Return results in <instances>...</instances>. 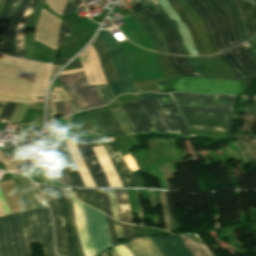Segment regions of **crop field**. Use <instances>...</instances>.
I'll use <instances>...</instances> for the list:
<instances>
[{"label": "crop field", "mask_w": 256, "mask_h": 256, "mask_svg": "<svg viewBox=\"0 0 256 256\" xmlns=\"http://www.w3.org/2000/svg\"><path fill=\"white\" fill-rule=\"evenodd\" d=\"M33 243H41L44 256H56L47 207L0 217V256H32Z\"/></svg>", "instance_id": "crop-field-1"}, {"label": "crop field", "mask_w": 256, "mask_h": 256, "mask_svg": "<svg viewBox=\"0 0 256 256\" xmlns=\"http://www.w3.org/2000/svg\"><path fill=\"white\" fill-rule=\"evenodd\" d=\"M141 98L164 97L157 93L139 94ZM138 132H177L190 136L180 111L171 97L140 99L123 105Z\"/></svg>", "instance_id": "crop-field-2"}, {"label": "crop field", "mask_w": 256, "mask_h": 256, "mask_svg": "<svg viewBox=\"0 0 256 256\" xmlns=\"http://www.w3.org/2000/svg\"><path fill=\"white\" fill-rule=\"evenodd\" d=\"M38 188L44 194L52 213L57 252L63 256H69V254L70 256H84L76 232L74 212L68 191L47 185H38Z\"/></svg>", "instance_id": "crop-field-3"}, {"label": "crop field", "mask_w": 256, "mask_h": 256, "mask_svg": "<svg viewBox=\"0 0 256 256\" xmlns=\"http://www.w3.org/2000/svg\"><path fill=\"white\" fill-rule=\"evenodd\" d=\"M206 25L216 53L240 44L231 12L220 0H186Z\"/></svg>", "instance_id": "crop-field-4"}, {"label": "crop field", "mask_w": 256, "mask_h": 256, "mask_svg": "<svg viewBox=\"0 0 256 256\" xmlns=\"http://www.w3.org/2000/svg\"><path fill=\"white\" fill-rule=\"evenodd\" d=\"M161 93L175 91L199 94H248L250 81L206 80L197 77H172L154 80Z\"/></svg>", "instance_id": "crop-field-5"}, {"label": "crop field", "mask_w": 256, "mask_h": 256, "mask_svg": "<svg viewBox=\"0 0 256 256\" xmlns=\"http://www.w3.org/2000/svg\"><path fill=\"white\" fill-rule=\"evenodd\" d=\"M181 112L191 113H227V140L232 132V105L235 97L209 96L196 94H171Z\"/></svg>", "instance_id": "crop-field-6"}, {"label": "crop field", "mask_w": 256, "mask_h": 256, "mask_svg": "<svg viewBox=\"0 0 256 256\" xmlns=\"http://www.w3.org/2000/svg\"><path fill=\"white\" fill-rule=\"evenodd\" d=\"M66 94L71 99L73 111H83L105 105L94 86H88L83 71L57 77Z\"/></svg>", "instance_id": "crop-field-7"}, {"label": "crop field", "mask_w": 256, "mask_h": 256, "mask_svg": "<svg viewBox=\"0 0 256 256\" xmlns=\"http://www.w3.org/2000/svg\"><path fill=\"white\" fill-rule=\"evenodd\" d=\"M83 205L89 239L97 255L113 246L109 237L105 215L85 204Z\"/></svg>", "instance_id": "crop-field-8"}, {"label": "crop field", "mask_w": 256, "mask_h": 256, "mask_svg": "<svg viewBox=\"0 0 256 256\" xmlns=\"http://www.w3.org/2000/svg\"><path fill=\"white\" fill-rule=\"evenodd\" d=\"M218 55L232 68L238 80L256 78V59L243 44Z\"/></svg>", "instance_id": "crop-field-9"}, {"label": "crop field", "mask_w": 256, "mask_h": 256, "mask_svg": "<svg viewBox=\"0 0 256 256\" xmlns=\"http://www.w3.org/2000/svg\"><path fill=\"white\" fill-rule=\"evenodd\" d=\"M99 36L106 44L114 64L115 71L126 93H138L128 72L122 48L109 31H100Z\"/></svg>", "instance_id": "crop-field-10"}, {"label": "crop field", "mask_w": 256, "mask_h": 256, "mask_svg": "<svg viewBox=\"0 0 256 256\" xmlns=\"http://www.w3.org/2000/svg\"><path fill=\"white\" fill-rule=\"evenodd\" d=\"M139 5L143 9H152L155 14L158 9L157 6L150 0H141L139 1ZM152 10L145 11L153 19V21L156 23L158 28L163 33L169 54L184 55L178 43L176 33L171 24L164 18L165 16L163 17L159 9L157 11L156 16L152 12Z\"/></svg>", "instance_id": "crop-field-11"}, {"label": "crop field", "mask_w": 256, "mask_h": 256, "mask_svg": "<svg viewBox=\"0 0 256 256\" xmlns=\"http://www.w3.org/2000/svg\"><path fill=\"white\" fill-rule=\"evenodd\" d=\"M189 129L226 132V114L183 113Z\"/></svg>", "instance_id": "crop-field-12"}, {"label": "crop field", "mask_w": 256, "mask_h": 256, "mask_svg": "<svg viewBox=\"0 0 256 256\" xmlns=\"http://www.w3.org/2000/svg\"><path fill=\"white\" fill-rule=\"evenodd\" d=\"M48 152L30 156L35 162L43 167L47 172L65 184L71 185L68 176L56 154L54 145H46Z\"/></svg>", "instance_id": "crop-field-13"}, {"label": "crop field", "mask_w": 256, "mask_h": 256, "mask_svg": "<svg viewBox=\"0 0 256 256\" xmlns=\"http://www.w3.org/2000/svg\"><path fill=\"white\" fill-rule=\"evenodd\" d=\"M123 187H136L126 162L113 138H101Z\"/></svg>", "instance_id": "crop-field-14"}, {"label": "crop field", "mask_w": 256, "mask_h": 256, "mask_svg": "<svg viewBox=\"0 0 256 256\" xmlns=\"http://www.w3.org/2000/svg\"><path fill=\"white\" fill-rule=\"evenodd\" d=\"M97 187H110L87 138L75 139Z\"/></svg>", "instance_id": "crop-field-15"}, {"label": "crop field", "mask_w": 256, "mask_h": 256, "mask_svg": "<svg viewBox=\"0 0 256 256\" xmlns=\"http://www.w3.org/2000/svg\"><path fill=\"white\" fill-rule=\"evenodd\" d=\"M165 256H192L180 236H150Z\"/></svg>", "instance_id": "crop-field-16"}, {"label": "crop field", "mask_w": 256, "mask_h": 256, "mask_svg": "<svg viewBox=\"0 0 256 256\" xmlns=\"http://www.w3.org/2000/svg\"><path fill=\"white\" fill-rule=\"evenodd\" d=\"M20 2L21 0H6L0 12V53L6 54L8 29Z\"/></svg>", "instance_id": "crop-field-17"}, {"label": "crop field", "mask_w": 256, "mask_h": 256, "mask_svg": "<svg viewBox=\"0 0 256 256\" xmlns=\"http://www.w3.org/2000/svg\"><path fill=\"white\" fill-rule=\"evenodd\" d=\"M134 16L152 40L155 51L168 54L164 37L150 17L143 10Z\"/></svg>", "instance_id": "crop-field-18"}, {"label": "crop field", "mask_w": 256, "mask_h": 256, "mask_svg": "<svg viewBox=\"0 0 256 256\" xmlns=\"http://www.w3.org/2000/svg\"><path fill=\"white\" fill-rule=\"evenodd\" d=\"M69 193L71 195L73 206H74L77 232H78V235L80 238V242H81L84 254H85V256H94V253L92 251V246L90 244V241L88 239L87 232H86L83 205L80 201H78L74 197L71 190H69Z\"/></svg>", "instance_id": "crop-field-19"}, {"label": "crop field", "mask_w": 256, "mask_h": 256, "mask_svg": "<svg viewBox=\"0 0 256 256\" xmlns=\"http://www.w3.org/2000/svg\"><path fill=\"white\" fill-rule=\"evenodd\" d=\"M124 245L133 256H164L148 236L135 237Z\"/></svg>", "instance_id": "crop-field-20"}, {"label": "crop field", "mask_w": 256, "mask_h": 256, "mask_svg": "<svg viewBox=\"0 0 256 256\" xmlns=\"http://www.w3.org/2000/svg\"><path fill=\"white\" fill-rule=\"evenodd\" d=\"M91 44L93 45V47L98 55V58H99V61L101 64V68H102V71H103V74L105 76L107 83L110 84V83L119 82V80L115 74L108 50H107L106 46L104 45L103 41L99 37L96 36V38L94 39V41Z\"/></svg>", "instance_id": "crop-field-21"}, {"label": "crop field", "mask_w": 256, "mask_h": 256, "mask_svg": "<svg viewBox=\"0 0 256 256\" xmlns=\"http://www.w3.org/2000/svg\"><path fill=\"white\" fill-rule=\"evenodd\" d=\"M56 151L62 161V164L71 180L73 186L84 187L81 177L72 161V158L67 150L65 142L54 144Z\"/></svg>", "instance_id": "crop-field-22"}, {"label": "crop field", "mask_w": 256, "mask_h": 256, "mask_svg": "<svg viewBox=\"0 0 256 256\" xmlns=\"http://www.w3.org/2000/svg\"><path fill=\"white\" fill-rule=\"evenodd\" d=\"M12 174V173H11ZM17 191L25 205L26 210L39 208V204L27 178L12 174Z\"/></svg>", "instance_id": "crop-field-23"}, {"label": "crop field", "mask_w": 256, "mask_h": 256, "mask_svg": "<svg viewBox=\"0 0 256 256\" xmlns=\"http://www.w3.org/2000/svg\"><path fill=\"white\" fill-rule=\"evenodd\" d=\"M72 107L66 94H49L48 118L61 114H72Z\"/></svg>", "instance_id": "crop-field-24"}, {"label": "crop field", "mask_w": 256, "mask_h": 256, "mask_svg": "<svg viewBox=\"0 0 256 256\" xmlns=\"http://www.w3.org/2000/svg\"><path fill=\"white\" fill-rule=\"evenodd\" d=\"M170 5L173 7V9L178 13V15L183 19V21L186 23L193 39L194 46L198 52L199 55H207L202 42L200 40L199 34L197 32L196 26L193 24L192 20L189 18V16L186 14V12L183 10V8L180 6V4L177 2V0H167Z\"/></svg>", "instance_id": "crop-field-25"}, {"label": "crop field", "mask_w": 256, "mask_h": 256, "mask_svg": "<svg viewBox=\"0 0 256 256\" xmlns=\"http://www.w3.org/2000/svg\"><path fill=\"white\" fill-rule=\"evenodd\" d=\"M178 2L181 4V6L184 8V10L187 12V14L191 17V19L196 24L207 53L209 55L216 54L211 45L210 38L208 36L207 30L201 18L197 15V13L190 7V5L185 0H178Z\"/></svg>", "instance_id": "crop-field-26"}, {"label": "crop field", "mask_w": 256, "mask_h": 256, "mask_svg": "<svg viewBox=\"0 0 256 256\" xmlns=\"http://www.w3.org/2000/svg\"><path fill=\"white\" fill-rule=\"evenodd\" d=\"M93 150L109 180L110 186L122 187L103 146L101 145V146L93 147Z\"/></svg>", "instance_id": "crop-field-27"}, {"label": "crop field", "mask_w": 256, "mask_h": 256, "mask_svg": "<svg viewBox=\"0 0 256 256\" xmlns=\"http://www.w3.org/2000/svg\"><path fill=\"white\" fill-rule=\"evenodd\" d=\"M37 0H31L29 4L26 7V11L23 15V17L20 20L19 26L16 31V51H17V56L18 57H23L25 58V51H24V30H25V25L29 21V18L33 12V9L35 7Z\"/></svg>", "instance_id": "crop-field-28"}, {"label": "crop field", "mask_w": 256, "mask_h": 256, "mask_svg": "<svg viewBox=\"0 0 256 256\" xmlns=\"http://www.w3.org/2000/svg\"><path fill=\"white\" fill-rule=\"evenodd\" d=\"M233 1L238 5L243 14L247 27L248 37L250 39L256 32V12L250 2L244 0Z\"/></svg>", "instance_id": "crop-field-29"}, {"label": "crop field", "mask_w": 256, "mask_h": 256, "mask_svg": "<svg viewBox=\"0 0 256 256\" xmlns=\"http://www.w3.org/2000/svg\"><path fill=\"white\" fill-rule=\"evenodd\" d=\"M68 141H69V143H70V145H71V147H72V149H73V151H74V154H75V156H76V158H77V160H78V162H79V165H80V167H81V169H82V171H83V173H84V175H85V178H86V180H87L89 186H90V187H96L95 184H94V182H93V180H92V178H91V176H90V173H89V171H88V169H87V167H86V165H85V163H84V161H83V159H82V157H81V154H80V152H79V150H78V148H77V146H76L74 140L71 139V140H68ZM68 141L66 140L65 142H66L67 147H68V149H69V151H70V153H71V156H72V158H73V161H74V163H75V165H76V167H77V169H78V171H79V173H80V175H81V177H82V180H83L85 186H86V187H89L88 184H87V182H86V180H85V178H84V176H83V173H82V171H81V169H80V167H79V165H78V162H77V160H76V158H75V156H74V154H73V152H72V149H71V147H70Z\"/></svg>", "instance_id": "crop-field-30"}, {"label": "crop field", "mask_w": 256, "mask_h": 256, "mask_svg": "<svg viewBox=\"0 0 256 256\" xmlns=\"http://www.w3.org/2000/svg\"><path fill=\"white\" fill-rule=\"evenodd\" d=\"M222 3L233 13L235 22H236V28H237V34L241 41V43L249 40L246 33L245 24L243 21L242 14L237 7V5L232 0H221Z\"/></svg>", "instance_id": "crop-field-31"}, {"label": "crop field", "mask_w": 256, "mask_h": 256, "mask_svg": "<svg viewBox=\"0 0 256 256\" xmlns=\"http://www.w3.org/2000/svg\"><path fill=\"white\" fill-rule=\"evenodd\" d=\"M114 191L116 194V199H117L118 208H119L120 222L132 224L126 190H114Z\"/></svg>", "instance_id": "crop-field-32"}, {"label": "crop field", "mask_w": 256, "mask_h": 256, "mask_svg": "<svg viewBox=\"0 0 256 256\" xmlns=\"http://www.w3.org/2000/svg\"><path fill=\"white\" fill-rule=\"evenodd\" d=\"M111 112L113 113V115L119 122L120 126L124 130L125 135H138L135 127L130 121L128 115L124 112L122 106L111 110Z\"/></svg>", "instance_id": "crop-field-33"}, {"label": "crop field", "mask_w": 256, "mask_h": 256, "mask_svg": "<svg viewBox=\"0 0 256 256\" xmlns=\"http://www.w3.org/2000/svg\"><path fill=\"white\" fill-rule=\"evenodd\" d=\"M29 2V0H22L21 5L19 7V10L10 26V30H9V35H8V47H7V54L9 55H14L15 54V46H14V32H15V27L17 25V23L19 22L21 15L27 5V3Z\"/></svg>", "instance_id": "crop-field-34"}, {"label": "crop field", "mask_w": 256, "mask_h": 256, "mask_svg": "<svg viewBox=\"0 0 256 256\" xmlns=\"http://www.w3.org/2000/svg\"><path fill=\"white\" fill-rule=\"evenodd\" d=\"M80 198L82 201L105 212L99 190H80Z\"/></svg>", "instance_id": "crop-field-35"}, {"label": "crop field", "mask_w": 256, "mask_h": 256, "mask_svg": "<svg viewBox=\"0 0 256 256\" xmlns=\"http://www.w3.org/2000/svg\"><path fill=\"white\" fill-rule=\"evenodd\" d=\"M175 68L182 76H197L195 70L189 65L185 57L169 55Z\"/></svg>", "instance_id": "crop-field-36"}, {"label": "crop field", "mask_w": 256, "mask_h": 256, "mask_svg": "<svg viewBox=\"0 0 256 256\" xmlns=\"http://www.w3.org/2000/svg\"><path fill=\"white\" fill-rule=\"evenodd\" d=\"M183 241L185 242L186 246L193 254V256H213V254L209 251V249L202 245L195 242H192L188 238L181 236Z\"/></svg>", "instance_id": "crop-field-37"}, {"label": "crop field", "mask_w": 256, "mask_h": 256, "mask_svg": "<svg viewBox=\"0 0 256 256\" xmlns=\"http://www.w3.org/2000/svg\"><path fill=\"white\" fill-rule=\"evenodd\" d=\"M0 100L14 102V103L29 104L28 108H31V109L42 110V106H43V102H39V101H31V100H23V99H15V98H7V97H0Z\"/></svg>", "instance_id": "crop-field-38"}, {"label": "crop field", "mask_w": 256, "mask_h": 256, "mask_svg": "<svg viewBox=\"0 0 256 256\" xmlns=\"http://www.w3.org/2000/svg\"><path fill=\"white\" fill-rule=\"evenodd\" d=\"M95 87H96L100 97L105 102V104L114 98L108 85H97Z\"/></svg>", "instance_id": "crop-field-39"}, {"label": "crop field", "mask_w": 256, "mask_h": 256, "mask_svg": "<svg viewBox=\"0 0 256 256\" xmlns=\"http://www.w3.org/2000/svg\"><path fill=\"white\" fill-rule=\"evenodd\" d=\"M159 9L163 12V14L168 18V20L172 23L176 33H177V36H178V39H179V42H180V45H181V48L183 50V52L185 53V55H189L188 51L186 50L185 46H184V43H183V38H182V34L177 26V24L173 21V19L168 16L166 14V12L164 11L163 7L161 6V4L158 6Z\"/></svg>", "instance_id": "crop-field-40"}, {"label": "crop field", "mask_w": 256, "mask_h": 256, "mask_svg": "<svg viewBox=\"0 0 256 256\" xmlns=\"http://www.w3.org/2000/svg\"><path fill=\"white\" fill-rule=\"evenodd\" d=\"M15 104L6 102L2 112L0 113V122L2 123H8L9 118L12 114V111L14 109Z\"/></svg>", "instance_id": "crop-field-41"}, {"label": "crop field", "mask_w": 256, "mask_h": 256, "mask_svg": "<svg viewBox=\"0 0 256 256\" xmlns=\"http://www.w3.org/2000/svg\"><path fill=\"white\" fill-rule=\"evenodd\" d=\"M211 58L215 60L223 68V70L227 73L230 80H237L234 72L230 69V67L225 63V61L222 58H220L218 55L211 56Z\"/></svg>", "instance_id": "crop-field-42"}, {"label": "crop field", "mask_w": 256, "mask_h": 256, "mask_svg": "<svg viewBox=\"0 0 256 256\" xmlns=\"http://www.w3.org/2000/svg\"><path fill=\"white\" fill-rule=\"evenodd\" d=\"M106 219H107L109 232H110V237L112 239L113 245L119 244L118 239H117V235H116V231H115V227H114L113 219L109 218L108 216H106Z\"/></svg>", "instance_id": "crop-field-43"}, {"label": "crop field", "mask_w": 256, "mask_h": 256, "mask_svg": "<svg viewBox=\"0 0 256 256\" xmlns=\"http://www.w3.org/2000/svg\"><path fill=\"white\" fill-rule=\"evenodd\" d=\"M82 3L81 0H68L67 4H66V7L64 9V12L62 15L66 14V13H69V12H72V10H74L77 6H79L80 4ZM83 5V3L81 4ZM80 5V6H81ZM79 6V7H80Z\"/></svg>", "instance_id": "crop-field-44"}, {"label": "crop field", "mask_w": 256, "mask_h": 256, "mask_svg": "<svg viewBox=\"0 0 256 256\" xmlns=\"http://www.w3.org/2000/svg\"><path fill=\"white\" fill-rule=\"evenodd\" d=\"M121 229L125 241L135 236L132 226L121 224Z\"/></svg>", "instance_id": "crop-field-45"}, {"label": "crop field", "mask_w": 256, "mask_h": 256, "mask_svg": "<svg viewBox=\"0 0 256 256\" xmlns=\"http://www.w3.org/2000/svg\"><path fill=\"white\" fill-rule=\"evenodd\" d=\"M100 191H101V194H102V198H103L106 214H108L111 217H113L112 216L111 207H110V203H109V198H108L107 190H100Z\"/></svg>", "instance_id": "crop-field-46"}, {"label": "crop field", "mask_w": 256, "mask_h": 256, "mask_svg": "<svg viewBox=\"0 0 256 256\" xmlns=\"http://www.w3.org/2000/svg\"><path fill=\"white\" fill-rule=\"evenodd\" d=\"M159 192V196L161 199V203H162V207H163V212H164V218H165V224H166V231L170 232V228H169V220H168V216H167V209H166V202H165V198L162 192Z\"/></svg>", "instance_id": "crop-field-47"}, {"label": "crop field", "mask_w": 256, "mask_h": 256, "mask_svg": "<svg viewBox=\"0 0 256 256\" xmlns=\"http://www.w3.org/2000/svg\"><path fill=\"white\" fill-rule=\"evenodd\" d=\"M163 193H164V195H165L166 202H167L171 232H175V229H174V222H173V215H172V210H171V205H170V199H169V194H168V193H165V192H163Z\"/></svg>", "instance_id": "crop-field-48"}, {"label": "crop field", "mask_w": 256, "mask_h": 256, "mask_svg": "<svg viewBox=\"0 0 256 256\" xmlns=\"http://www.w3.org/2000/svg\"><path fill=\"white\" fill-rule=\"evenodd\" d=\"M109 87L114 97L117 96L118 94L125 93L120 83L111 84L109 85Z\"/></svg>", "instance_id": "crop-field-49"}, {"label": "crop field", "mask_w": 256, "mask_h": 256, "mask_svg": "<svg viewBox=\"0 0 256 256\" xmlns=\"http://www.w3.org/2000/svg\"><path fill=\"white\" fill-rule=\"evenodd\" d=\"M117 253L120 255V256H132L128 250L123 246V244L121 245H117L115 247H113Z\"/></svg>", "instance_id": "crop-field-50"}, {"label": "crop field", "mask_w": 256, "mask_h": 256, "mask_svg": "<svg viewBox=\"0 0 256 256\" xmlns=\"http://www.w3.org/2000/svg\"><path fill=\"white\" fill-rule=\"evenodd\" d=\"M187 59H188L189 63L194 67V69L199 68L201 70V72L204 70L201 66L197 67L196 64L193 62V60L191 59V57H187ZM202 73L205 75L206 78L210 79V77L207 75L206 72H202Z\"/></svg>", "instance_id": "crop-field-51"}, {"label": "crop field", "mask_w": 256, "mask_h": 256, "mask_svg": "<svg viewBox=\"0 0 256 256\" xmlns=\"http://www.w3.org/2000/svg\"><path fill=\"white\" fill-rule=\"evenodd\" d=\"M70 31H71V29L69 27H67L66 25H64L61 43H62V40L66 37L67 34H69Z\"/></svg>", "instance_id": "crop-field-52"}, {"label": "crop field", "mask_w": 256, "mask_h": 256, "mask_svg": "<svg viewBox=\"0 0 256 256\" xmlns=\"http://www.w3.org/2000/svg\"><path fill=\"white\" fill-rule=\"evenodd\" d=\"M68 60L64 59L63 57L59 58L58 60H56L54 62L53 65H63L65 62H67Z\"/></svg>", "instance_id": "crop-field-53"}, {"label": "crop field", "mask_w": 256, "mask_h": 256, "mask_svg": "<svg viewBox=\"0 0 256 256\" xmlns=\"http://www.w3.org/2000/svg\"><path fill=\"white\" fill-rule=\"evenodd\" d=\"M108 251L112 254V256H119V255L113 250V248L109 249Z\"/></svg>", "instance_id": "crop-field-54"}, {"label": "crop field", "mask_w": 256, "mask_h": 256, "mask_svg": "<svg viewBox=\"0 0 256 256\" xmlns=\"http://www.w3.org/2000/svg\"><path fill=\"white\" fill-rule=\"evenodd\" d=\"M78 65H82V64L73 61V62H72L71 64H69L68 66H78Z\"/></svg>", "instance_id": "crop-field-55"}, {"label": "crop field", "mask_w": 256, "mask_h": 256, "mask_svg": "<svg viewBox=\"0 0 256 256\" xmlns=\"http://www.w3.org/2000/svg\"><path fill=\"white\" fill-rule=\"evenodd\" d=\"M254 56H255V58H256V52L250 47L249 49H248Z\"/></svg>", "instance_id": "crop-field-56"}, {"label": "crop field", "mask_w": 256, "mask_h": 256, "mask_svg": "<svg viewBox=\"0 0 256 256\" xmlns=\"http://www.w3.org/2000/svg\"><path fill=\"white\" fill-rule=\"evenodd\" d=\"M103 256H107L106 253H104Z\"/></svg>", "instance_id": "crop-field-57"}, {"label": "crop field", "mask_w": 256, "mask_h": 256, "mask_svg": "<svg viewBox=\"0 0 256 256\" xmlns=\"http://www.w3.org/2000/svg\"><path fill=\"white\" fill-rule=\"evenodd\" d=\"M254 5V7H255V10H256V5L255 4H253Z\"/></svg>", "instance_id": "crop-field-58"}]
</instances>
